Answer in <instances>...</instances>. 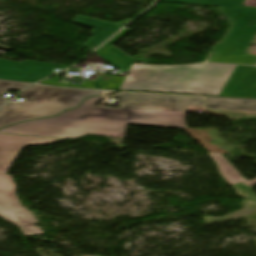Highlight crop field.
Masks as SVG:
<instances>
[{"label":"crop field","instance_id":"crop-field-1","mask_svg":"<svg viewBox=\"0 0 256 256\" xmlns=\"http://www.w3.org/2000/svg\"><path fill=\"white\" fill-rule=\"evenodd\" d=\"M120 108L95 106L103 97L87 99L57 117L31 121L0 133L70 139L84 134L120 138L126 124L188 129L185 105L202 106L203 97L120 93Z\"/></svg>","mask_w":256,"mask_h":256},{"label":"crop field","instance_id":"crop-field-2","mask_svg":"<svg viewBox=\"0 0 256 256\" xmlns=\"http://www.w3.org/2000/svg\"><path fill=\"white\" fill-rule=\"evenodd\" d=\"M236 65H134L119 90L219 96Z\"/></svg>","mask_w":256,"mask_h":256},{"label":"crop field","instance_id":"crop-field-3","mask_svg":"<svg viewBox=\"0 0 256 256\" xmlns=\"http://www.w3.org/2000/svg\"><path fill=\"white\" fill-rule=\"evenodd\" d=\"M158 1L220 7V13L228 18L231 27L204 62L256 65V55L246 53L256 36V7L243 6L244 0Z\"/></svg>","mask_w":256,"mask_h":256},{"label":"crop field","instance_id":"crop-field-4","mask_svg":"<svg viewBox=\"0 0 256 256\" xmlns=\"http://www.w3.org/2000/svg\"><path fill=\"white\" fill-rule=\"evenodd\" d=\"M101 91L35 85L21 94L25 101L9 102L0 110V127L20 121L56 115L77 106L84 98Z\"/></svg>","mask_w":256,"mask_h":256},{"label":"crop field","instance_id":"crop-field-5","mask_svg":"<svg viewBox=\"0 0 256 256\" xmlns=\"http://www.w3.org/2000/svg\"><path fill=\"white\" fill-rule=\"evenodd\" d=\"M0 216L20 227L24 236L43 234L35 228V217L24 208L15 195L14 182L10 175L0 174Z\"/></svg>","mask_w":256,"mask_h":256},{"label":"crop field","instance_id":"crop-field-6","mask_svg":"<svg viewBox=\"0 0 256 256\" xmlns=\"http://www.w3.org/2000/svg\"><path fill=\"white\" fill-rule=\"evenodd\" d=\"M67 67L28 60L18 63L0 59V79L35 83L54 74L51 72L53 69L58 68L62 70Z\"/></svg>","mask_w":256,"mask_h":256},{"label":"crop field","instance_id":"crop-field-7","mask_svg":"<svg viewBox=\"0 0 256 256\" xmlns=\"http://www.w3.org/2000/svg\"><path fill=\"white\" fill-rule=\"evenodd\" d=\"M220 96L256 98V67L237 65Z\"/></svg>","mask_w":256,"mask_h":256},{"label":"crop field","instance_id":"crop-field-8","mask_svg":"<svg viewBox=\"0 0 256 256\" xmlns=\"http://www.w3.org/2000/svg\"><path fill=\"white\" fill-rule=\"evenodd\" d=\"M57 141L62 140L0 135V173H8L9 168L23 147L46 145Z\"/></svg>","mask_w":256,"mask_h":256},{"label":"crop field","instance_id":"crop-field-9","mask_svg":"<svg viewBox=\"0 0 256 256\" xmlns=\"http://www.w3.org/2000/svg\"><path fill=\"white\" fill-rule=\"evenodd\" d=\"M129 21H131V19H128L116 25L79 15H76L72 20L73 23L87 25L95 28L92 32H90V34H93L94 37L83 45L91 50H93L106 39H108L110 36H112L115 32L121 29Z\"/></svg>","mask_w":256,"mask_h":256},{"label":"crop field","instance_id":"crop-field-10","mask_svg":"<svg viewBox=\"0 0 256 256\" xmlns=\"http://www.w3.org/2000/svg\"><path fill=\"white\" fill-rule=\"evenodd\" d=\"M209 155L217 163L221 174L244 198L256 199V194L250 189L251 186L256 184V179L252 181L245 180L241 176V174L222 155ZM239 182H244L246 185L241 186Z\"/></svg>","mask_w":256,"mask_h":256},{"label":"crop field","instance_id":"crop-field-11","mask_svg":"<svg viewBox=\"0 0 256 256\" xmlns=\"http://www.w3.org/2000/svg\"><path fill=\"white\" fill-rule=\"evenodd\" d=\"M205 108L256 111V100L207 97Z\"/></svg>","mask_w":256,"mask_h":256},{"label":"crop field","instance_id":"crop-field-12","mask_svg":"<svg viewBox=\"0 0 256 256\" xmlns=\"http://www.w3.org/2000/svg\"><path fill=\"white\" fill-rule=\"evenodd\" d=\"M28 85L30 84L0 80V96L4 94L8 89L20 90ZM7 100V98L0 97V106Z\"/></svg>","mask_w":256,"mask_h":256},{"label":"crop field","instance_id":"crop-field-13","mask_svg":"<svg viewBox=\"0 0 256 256\" xmlns=\"http://www.w3.org/2000/svg\"><path fill=\"white\" fill-rule=\"evenodd\" d=\"M202 107L186 106V111L201 112Z\"/></svg>","mask_w":256,"mask_h":256},{"label":"crop field","instance_id":"crop-field-14","mask_svg":"<svg viewBox=\"0 0 256 256\" xmlns=\"http://www.w3.org/2000/svg\"><path fill=\"white\" fill-rule=\"evenodd\" d=\"M243 5L256 6V0H245Z\"/></svg>","mask_w":256,"mask_h":256}]
</instances>
